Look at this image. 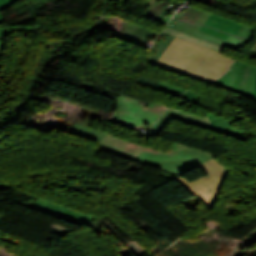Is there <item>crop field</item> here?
I'll return each mask as SVG.
<instances>
[{"label":"crop field","instance_id":"crop-field-1","mask_svg":"<svg viewBox=\"0 0 256 256\" xmlns=\"http://www.w3.org/2000/svg\"><path fill=\"white\" fill-rule=\"evenodd\" d=\"M232 60L221 53L175 37L155 66L210 83L227 70Z\"/></svg>","mask_w":256,"mask_h":256},{"label":"crop field","instance_id":"crop-field-19","mask_svg":"<svg viewBox=\"0 0 256 256\" xmlns=\"http://www.w3.org/2000/svg\"><path fill=\"white\" fill-rule=\"evenodd\" d=\"M11 4L15 3L17 0H8Z\"/></svg>","mask_w":256,"mask_h":256},{"label":"crop field","instance_id":"crop-field-8","mask_svg":"<svg viewBox=\"0 0 256 256\" xmlns=\"http://www.w3.org/2000/svg\"><path fill=\"white\" fill-rule=\"evenodd\" d=\"M237 35L243 24L212 14L204 24Z\"/></svg>","mask_w":256,"mask_h":256},{"label":"crop field","instance_id":"crop-field-10","mask_svg":"<svg viewBox=\"0 0 256 256\" xmlns=\"http://www.w3.org/2000/svg\"><path fill=\"white\" fill-rule=\"evenodd\" d=\"M163 32L172 34V35H174V36H177V37L186 39V40L191 41V42H194V43L201 44V45H203V46H205V47H207V48L216 50V51H218V52H222V50H223V47H221V46L214 45V44H212V43L206 42V41H204V40H201V39H199V38L193 37V36H191V35L185 34V33H183V32L177 31V30L172 29V28L165 27L164 30H163Z\"/></svg>","mask_w":256,"mask_h":256},{"label":"crop field","instance_id":"crop-field-4","mask_svg":"<svg viewBox=\"0 0 256 256\" xmlns=\"http://www.w3.org/2000/svg\"><path fill=\"white\" fill-rule=\"evenodd\" d=\"M211 85L256 101V66L236 59L229 71Z\"/></svg>","mask_w":256,"mask_h":256},{"label":"crop field","instance_id":"crop-field-2","mask_svg":"<svg viewBox=\"0 0 256 256\" xmlns=\"http://www.w3.org/2000/svg\"><path fill=\"white\" fill-rule=\"evenodd\" d=\"M213 156L214 154L175 142L173 148L167 153L145 147L133 162L180 174Z\"/></svg>","mask_w":256,"mask_h":256},{"label":"crop field","instance_id":"crop-field-11","mask_svg":"<svg viewBox=\"0 0 256 256\" xmlns=\"http://www.w3.org/2000/svg\"><path fill=\"white\" fill-rule=\"evenodd\" d=\"M157 89L166 91L168 93H171V94H174V95H177V96H179L181 93H183L185 91L183 89H180V88L175 87L173 85L167 84L165 82H161L159 84V86L157 87Z\"/></svg>","mask_w":256,"mask_h":256},{"label":"crop field","instance_id":"crop-field-5","mask_svg":"<svg viewBox=\"0 0 256 256\" xmlns=\"http://www.w3.org/2000/svg\"><path fill=\"white\" fill-rule=\"evenodd\" d=\"M70 133L101 142L98 149L131 160L143 146L76 124Z\"/></svg>","mask_w":256,"mask_h":256},{"label":"crop field","instance_id":"crop-field-9","mask_svg":"<svg viewBox=\"0 0 256 256\" xmlns=\"http://www.w3.org/2000/svg\"><path fill=\"white\" fill-rule=\"evenodd\" d=\"M163 115H167L176 119H180L186 122H190L196 125H200L206 128L212 129L210 123L208 122L207 118L196 116L187 112H183L174 108L169 107Z\"/></svg>","mask_w":256,"mask_h":256},{"label":"crop field","instance_id":"crop-field-3","mask_svg":"<svg viewBox=\"0 0 256 256\" xmlns=\"http://www.w3.org/2000/svg\"><path fill=\"white\" fill-rule=\"evenodd\" d=\"M198 167L207 173L208 176L195 179L191 182L181 177L175 179L211 210L228 169L213 158Z\"/></svg>","mask_w":256,"mask_h":256},{"label":"crop field","instance_id":"crop-field-16","mask_svg":"<svg viewBox=\"0 0 256 256\" xmlns=\"http://www.w3.org/2000/svg\"><path fill=\"white\" fill-rule=\"evenodd\" d=\"M10 32V30H3V31H0V36H3V35H6Z\"/></svg>","mask_w":256,"mask_h":256},{"label":"crop field","instance_id":"crop-field-15","mask_svg":"<svg viewBox=\"0 0 256 256\" xmlns=\"http://www.w3.org/2000/svg\"><path fill=\"white\" fill-rule=\"evenodd\" d=\"M3 21H4V18L0 13V23H2ZM3 29H9V28L8 27H3V28L0 27V30H3Z\"/></svg>","mask_w":256,"mask_h":256},{"label":"crop field","instance_id":"crop-field-13","mask_svg":"<svg viewBox=\"0 0 256 256\" xmlns=\"http://www.w3.org/2000/svg\"><path fill=\"white\" fill-rule=\"evenodd\" d=\"M198 97H199V95L198 94H195V93H193V92H190V91H188L187 93H185L183 96H181V98H184V99H186V100H189V101H191V102H193V103H197V101H198Z\"/></svg>","mask_w":256,"mask_h":256},{"label":"crop field","instance_id":"crop-field-14","mask_svg":"<svg viewBox=\"0 0 256 256\" xmlns=\"http://www.w3.org/2000/svg\"><path fill=\"white\" fill-rule=\"evenodd\" d=\"M9 5L11 4L7 0H0V11L10 7Z\"/></svg>","mask_w":256,"mask_h":256},{"label":"crop field","instance_id":"crop-field-12","mask_svg":"<svg viewBox=\"0 0 256 256\" xmlns=\"http://www.w3.org/2000/svg\"><path fill=\"white\" fill-rule=\"evenodd\" d=\"M200 31H203L205 33L211 34L213 36L219 37V38L224 39V40H226L227 37L229 36V34L222 33V32L213 30V29H211L209 27H205V26H202Z\"/></svg>","mask_w":256,"mask_h":256},{"label":"crop field","instance_id":"crop-field-20","mask_svg":"<svg viewBox=\"0 0 256 256\" xmlns=\"http://www.w3.org/2000/svg\"><path fill=\"white\" fill-rule=\"evenodd\" d=\"M1 41H4V40H0V42H1Z\"/></svg>","mask_w":256,"mask_h":256},{"label":"crop field","instance_id":"crop-field-18","mask_svg":"<svg viewBox=\"0 0 256 256\" xmlns=\"http://www.w3.org/2000/svg\"><path fill=\"white\" fill-rule=\"evenodd\" d=\"M3 45H4V43H0V56H1V53H2Z\"/></svg>","mask_w":256,"mask_h":256},{"label":"crop field","instance_id":"crop-field-7","mask_svg":"<svg viewBox=\"0 0 256 256\" xmlns=\"http://www.w3.org/2000/svg\"><path fill=\"white\" fill-rule=\"evenodd\" d=\"M206 114H207L210 122L213 124V126L216 128V130L219 133H223V134L233 136V137L243 139V140L247 139V137H245L241 131L230 126L231 121H229L225 118L219 117V116L209 114V113H206Z\"/></svg>","mask_w":256,"mask_h":256},{"label":"crop field","instance_id":"crop-field-17","mask_svg":"<svg viewBox=\"0 0 256 256\" xmlns=\"http://www.w3.org/2000/svg\"><path fill=\"white\" fill-rule=\"evenodd\" d=\"M251 31H252V29L250 28V30H249V32H248V34L246 36V39H250Z\"/></svg>","mask_w":256,"mask_h":256},{"label":"crop field","instance_id":"crop-field-6","mask_svg":"<svg viewBox=\"0 0 256 256\" xmlns=\"http://www.w3.org/2000/svg\"><path fill=\"white\" fill-rule=\"evenodd\" d=\"M115 100L119 101V103L113 116L109 117L108 119H103L100 116H97V120L104 123H116L130 128L144 109L162 114L166 108V106L153 102H151L148 106L141 105L137 103L138 100L123 96H120Z\"/></svg>","mask_w":256,"mask_h":256}]
</instances>
